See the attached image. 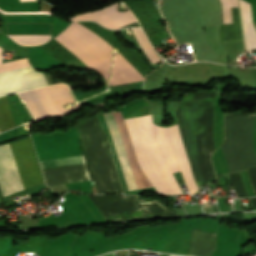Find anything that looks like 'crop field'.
Masks as SVG:
<instances>
[{
  "label": "crop field",
  "mask_w": 256,
  "mask_h": 256,
  "mask_svg": "<svg viewBox=\"0 0 256 256\" xmlns=\"http://www.w3.org/2000/svg\"><path fill=\"white\" fill-rule=\"evenodd\" d=\"M22 46L42 45L50 40V35H8Z\"/></svg>",
  "instance_id": "13"
},
{
  "label": "crop field",
  "mask_w": 256,
  "mask_h": 256,
  "mask_svg": "<svg viewBox=\"0 0 256 256\" xmlns=\"http://www.w3.org/2000/svg\"><path fill=\"white\" fill-rule=\"evenodd\" d=\"M107 222L177 216L161 201L141 196L88 195Z\"/></svg>",
  "instance_id": "5"
},
{
  "label": "crop field",
  "mask_w": 256,
  "mask_h": 256,
  "mask_svg": "<svg viewBox=\"0 0 256 256\" xmlns=\"http://www.w3.org/2000/svg\"><path fill=\"white\" fill-rule=\"evenodd\" d=\"M24 100L37 121L43 120L48 116H57L70 113L76 110L79 103L72 105L73 108L65 109L62 105L74 103L68 86L56 84L43 88L18 93Z\"/></svg>",
  "instance_id": "6"
},
{
  "label": "crop field",
  "mask_w": 256,
  "mask_h": 256,
  "mask_svg": "<svg viewBox=\"0 0 256 256\" xmlns=\"http://www.w3.org/2000/svg\"><path fill=\"white\" fill-rule=\"evenodd\" d=\"M55 40L74 53L87 66H94L101 75L108 80L112 47L98 35L75 22L61 35L55 38ZM112 54L114 58V54H117V51L113 49ZM110 77L108 82L110 81ZM143 79L144 77L119 53L115 55L110 82L111 85L141 81Z\"/></svg>",
  "instance_id": "2"
},
{
  "label": "crop field",
  "mask_w": 256,
  "mask_h": 256,
  "mask_svg": "<svg viewBox=\"0 0 256 256\" xmlns=\"http://www.w3.org/2000/svg\"><path fill=\"white\" fill-rule=\"evenodd\" d=\"M243 28H244V40L246 51L256 49V30L252 24L250 5L239 0Z\"/></svg>",
  "instance_id": "11"
},
{
  "label": "crop field",
  "mask_w": 256,
  "mask_h": 256,
  "mask_svg": "<svg viewBox=\"0 0 256 256\" xmlns=\"http://www.w3.org/2000/svg\"><path fill=\"white\" fill-rule=\"evenodd\" d=\"M223 9V20L224 23H231V10L230 7H235L237 5V0H221Z\"/></svg>",
  "instance_id": "16"
},
{
  "label": "crop field",
  "mask_w": 256,
  "mask_h": 256,
  "mask_svg": "<svg viewBox=\"0 0 256 256\" xmlns=\"http://www.w3.org/2000/svg\"><path fill=\"white\" fill-rule=\"evenodd\" d=\"M124 10V4L120 1V9ZM74 20H95L107 28H113L122 23L134 19L130 11L117 13L116 3L95 12L79 14L72 17Z\"/></svg>",
  "instance_id": "9"
},
{
  "label": "crop field",
  "mask_w": 256,
  "mask_h": 256,
  "mask_svg": "<svg viewBox=\"0 0 256 256\" xmlns=\"http://www.w3.org/2000/svg\"><path fill=\"white\" fill-rule=\"evenodd\" d=\"M23 189L42 183L30 139L9 143ZM8 144L0 146V188L7 195L22 187Z\"/></svg>",
  "instance_id": "4"
},
{
  "label": "crop field",
  "mask_w": 256,
  "mask_h": 256,
  "mask_svg": "<svg viewBox=\"0 0 256 256\" xmlns=\"http://www.w3.org/2000/svg\"><path fill=\"white\" fill-rule=\"evenodd\" d=\"M41 73L32 66L0 73V96L48 85Z\"/></svg>",
  "instance_id": "8"
},
{
  "label": "crop field",
  "mask_w": 256,
  "mask_h": 256,
  "mask_svg": "<svg viewBox=\"0 0 256 256\" xmlns=\"http://www.w3.org/2000/svg\"><path fill=\"white\" fill-rule=\"evenodd\" d=\"M2 51L3 49L0 48V62H1Z\"/></svg>",
  "instance_id": "19"
},
{
  "label": "crop field",
  "mask_w": 256,
  "mask_h": 256,
  "mask_svg": "<svg viewBox=\"0 0 256 256\" xmlns=\"http://www.w3.org/2000/svg\"><path fill=\"white\" fill-rule=\"evenodd\" d=\"M216 242V234L198 229L192 230L190 245L186 255L211 256Z\"/></svg>",
  "instance_id": "10"
},
{
  "label": "crop field",
  "mask_w": 256,
  "mask_h": 256,
  "mask_svg": "<svg viewBox=\"0 0 256 256\" xmlns=\"http://www.w3.org/2000/svg\"><path fill=\"white\" fill-rule=\"evenodd\" d=\"M170 256H175V255H170Z\"/></svg>",
  "instance_id": "21"
},
{
  "label": "crop field",
  "mask_w": 256,
  "mask_h": 256,
  "mask_svg": "<svg viewBox=\"0 0 256 256\" xmlns=\"http://www.w3.org/2000/svg\"><path fill=\"white\" fill-rule=\"evenodd\" d=\"M21 1H35V0H21Z\"/></svg>",
  "instance_id": "20"
},
{
  "label": "crop field",
  "mask_w": 256,
  "mask_h": 256,
  "mask_svg": "<svg viewBox=\"0 0 256 256\" xmlns=\"http://www.w3.org/2000/svg\"><path fill=\"white\" fill-rule=\"evenodd\" d=\"M29 65L30 64L28 63L27 58L20 59V60L2 64L0 67V72L12 70V69H16V68H21V67H25V66H29Z\"/></svg>",
  "instance_id": "17"
},
{
  "label": "crop field",
  "mask_w": 256,
  "mask_h": 256,
  "mask_svg": "<svg viewBox=\"0 0 256 256\" xmlns=\"http://www.w3.org/2000/svg\"><path fill=\"white\" fill-rule=\"evenodd\" d=\"M42 169L85 163L82 155L39 161Z\"/></svg>",
  "instance_id": "12"
},
{
  "label": "crop field",
  "mask_w": 256,
  "mask_h": 256,
  "mask_svg": "<svg viewBox=\"0 0 256 256\" xmlns=\"http://www.w3.org/2000/svg\"><path fill=\"white\" fill-rule=\"evenodd\" d=\"M132 33L134 34L136 40L138 41L139 45L145 52V54L148 56L150 61L153 63L161 60L160 57L156 54V52L153 50L151 45L148 43L144 33L142 30L138 28L131 29Z\"/></svg>",
  "instance_id": "14"
},
{
  "label": "crop field",
  "mask_w": 256,
  "mask_h": 256,
  "mask_svg": "<svg viewBox=\"0 0 256 256\" xmlns=\"http://www.w3.org/2000/svg\"><path fill=\"white\" fill-rule=\"evenodd\" d=\"M138 163L159 194H181L173 174L181 173L189 193L199 189L192 177L177 124L160 127L151 115L124 120Z\"/></svg>",
  "instance_id": "1"
},
{
  "label": "crop field",
  "mask_w": 256,
  "mask_h": 256,
  "mask_svg": "<svg viewBox=\"0 0 256 256\" xmlns=\"http://www.w3.org/2000/svg\"><path fill=\"white\" fill-rule=\"evenodd\" d=\"M104 115H105L109 130H110V133H111V136H112V139H113V142H114V145H115V148H116V151H117V154H118V157H119V160H120V163H121V166H122V169H123V172H124L127 184H128V187H129V190L130 191L136 190L137 187H136V184H135L132 172H131V168H130V165H129V162H128L120 135H119V131H118L113 113H108V114H104ZM104 115L100 114L98 116H99L100 122L102 124V127L105 130V133H106V136L108 139V143H109V146H110L113 158H114V162H115V165H116V168L118 171V175H119V178H120V181L122 184L123 191L126 192L129 190H128V187H127V184H126V181H125V178H124V175H123V172H122V169H121V166H120V163H119V160H118V157H117V154H116V151H115V148H114V145H113L106 121H105V118H104Z\"/></svg>",
  "instance_id": "7"
},
{
  "label": "crop field",
  "mask_w": 256,
  "mask_h": 256,
  "mask_svg": "<svg viewBox=\"0 0 256 256\" xmlns=\"http://www.w3.org/2000/svg\"><path fill=\"white\" fill-rule=\"evenodd\" d=\"M50 188L53 189L59 195L69 190L65 184L50 186Z\"/></svg>",
  "instance_id": "18"
},
{
  "label": "crop field",
  "mask_w": 256,
  "mask_h": 256,
  "mask_svg": "<svg viewBox=\"0 0 256 256\" xmlns=\"http://www.w3.org/2000/svg\"><path fill=\"white\" fill-rule=\"evenodd\" d=\"M15 126L10 109L6 100V97H0V131H4L8 128ZM2 137L0 135V142H2Z\"/></svg>",
  "instance_id": "15"
},
{
  "label": "crop field",
  "mask_w": 256,
  "mask_h": 256,
  "mask_svg": "<svg viewBox=\"0 0 256 256\" xmlns=\"http://www.w3.org/2000/svg\"><path fill=\"white\" fill-rule=\"evenodd\" d=\"M75 127L96 192L122 193L98 116L79 121Z\"/></svg>",
  "instance_id": "3"
}]
</instances>
